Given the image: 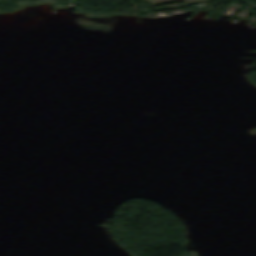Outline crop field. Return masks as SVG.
<instances>
[{
  "instance_id": "obj_1",
  "label": "crop field",
  "mask_w": 256,
  "mask_h": 256,
  "mask_svg": "<svg viewBox=\"0 0 256 256\" xmlns=\"http://www.w3.org/2000/svg\"><path fill=\"white\" fill-rule=\"evenodd\" d=\"M143 1L152 6H156V5L178 2V1H183V0H143ZM205 1H208V0H187V1H185V3H186V5H191V4H197V3H201V2H205Z\"/></svg>"
}]
</instances>
